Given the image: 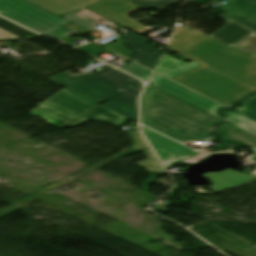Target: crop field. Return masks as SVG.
<instances>
[{"mask_svg": "<svg viewBox=\"0 0 256 256\" xmlns=\"http://www.w3.org/2000/svg\"><path fill=\"white\" fill-rule=\"evenodd\" d=\"M203 66L172 80L225 106L256 91V59L213 38L180 54Z\"/></svg>", "mask_w": 256, "mask_h": 256, "instance_id": "crop-field-1", "label": "crop field"}, {"mask_svg": "<svg viewBox=\"0 0 256 256\" xmlns=\"http://www.w3.org/2000/svg\"><path fill=\"white\" fill-rule=\"evenodd\" d=\"M142 123L178 141L210 139L220 119L148 85L141 98Z\"/></svg>", "mask_w": 256, "mask_h": 256, "instance_id": "crop-field-2", "label": "crop field"}, {"mask_svg": "<svg viewBox=\"0 0 256 256\" xmlns=\"http://www.w3.org/2000/svg\"><path fill=\"white\" fill-rule=\"evenodd\" d=\"M102 67L109 71L100 76L66 71L48 79L100 104L126 92L122 87L135 80L108 65Z\"/></svg>", "mask_w": 256, "mask_h": 256, "instance_id": "crop-field-3", "label": "crop field"}, {"mask_svg": "<svg viewBox=\"0 0 256 256\" xmlns=\"http://www.w3.org/2000/svg\"><path fill=\"white\" fill-rule=\"evenodd\" d=\"M0 15L58 40L74 35L59 27L69 21L25 0H0Z\"/></svg>", "mask_w": 256, "mask_h": 256, "instance_id": "crop-field-4", "label": "crop field"}, {"mask_svg": "<svg viewBox=\"0 0 256 256\" xmlns=\"http://www.w3.org/2000/svg\"><path fill=\"white\" fill-rule=\"evenodd\" d=\"M87 8L139 34L151 31L149 28L129 17L128 14L140 9L133 2L127 0H103Z\"/></svg>", "mask_w": 256, "mask_h": 256, "instance_id": "crop-field-5", "label": "crop field"}, {"mask_svg": "<svg viewBox=\"0 0 256 256\" xmlns=\"http://www.w3.org/2000/svg\"><path fill=\"white\" fill-rule=\"evenodd\" d=\"M149 84L179 99H182L218 118L220 117L217 115V110L223 106L199 94H196L156 73L154 74Z\"/></svg>", "mask_w": 256, "mask_h": 256, "instance_id": "crop-field-6", "label": "crop field"}, {"mask_svg": "<svg viewBox=\"0 0 256 256\" xmlns=\"http://www.w3.org/2000/svg\"><path fill=\"white\" fill-rule=\"evenodd\" d=\"M146 137L149 139L165 166L175 162L187 160L193 156L198 155L194 150H191L163 135H160L147 128H143Z\"/></svg>", "mask_w": 256, "mask_h": 256, "instance_id": "crop-field-7", "label": "crop field"}, {"mask_svg": "<svg viewBox=\"0 0 256 256\" xmlns=\"http://www.w3.org/2000/svg\"><path fill=\"white\" fill-rule=\"evenodd\" d=\"M87 101L88 103H84ZM57 110H60L74 118L99 105L79 94L63 89L43 102Z\"/></svg>", "mask_w": 256, "mask_h": 256, "instance_id": "crop-field-8", "label": "crop field"}, {"mask_svg": "<svg viewBox=\"0 0 256 256\" xmlns=\"http://www.w3.org/2000/svg\"><path fill=\"white\" fill-rule=\"evenodd\" d=\"M124 37L129 48L136 52L132 61L154 70L163 54L148 45L149 40L143 38L141 35L130 33Z\"/></svg>", "mask_w": 256, "mask_h": 256, "instance_id": "crop-field-9", "label": "crop field"}, {"mask_svg": "<svg viewBox=\"0 0 256 256\" xmlns=\"http://www.w3.org/2000/svg\"><path fill=\"white\" fill-rule=\"evenodd\" d=\"M225 4L223 15L256 31V0H220Z\"/></svg>", "mask_w": 256, "mask_h": 256, "instance_id": "crop-field-10", "label": "crop field"}, {"mask_svg": "<svg viewBox=\"0 0 256 256\" xmlns=\"http://www.w3.org/2000/svg\"><path fill=\"white\" fill-rule=\"evenodd\" d=\"M130 90L129 93L103 105L135 122L138 121L137 116V96L143 89L142 82H135L127 87Z\"/></svg>", "mask_w": 256, "mask_h": 256, "instance_id": "crop-field-11", "label": "crop field"}, {"mask_svg": "<svg viewBox=\"0 0 256 256\" xmlns=\"http://www.w3.org/2000/svg\"><path fill=\"white\" fill-rule=\"evenodd\" d=\"M204 176L214 182V184L210 187L214 192L227 190L256 180V174L254 173H252L250 177H246L231 169L222 171L220 173L205 174Z\"/></svg>", "mask_w": 256, "mask_h": 256, "instance_id": "crop-field-12", "label": "crop field"}, {"mask_svg": "<svg viewBox=\"0 0 256 256\" xmlns=\"http://www.w3.org/2000/svg\"><path fill=\"white\" fill-rule=\"evenodd\" d=\"M208 38L210 37L194 32L189 28L178 26L176 33L173 35L169 43V48L182 53Z\"/></svg>", "mask_w": 256, "mask_h": 256, "instance_id": "crop-field-13", "label": "crop field"}, {"mask_svg": "<svg viewBox=\"0 0 256 256\" xmlns=\"http://www.w3.org/2000/svg\"><path fill=\"white\" fill-rule=\"evenodd\" d=\"M57 15H64L79 8L94 4L101 0H27Z\"/></svg>", "mask_w": 256, "mask_h": 256, "instance_id": "crop-field-14", "label": "crop field"}, {"mask_svg": "<svg viewBox=\"0 0 256 256\" xmlns=\"http://www.w3.org/2000/svg\"><path fill=\"white\" fill-rule=\"evenodd\" d=\"M251 32L252 31L230 21L210 37L232 46Z\"/></svg>", "mask_w": 256, "mask_h": 256, "instance_id": "crop-field-15", "label": "crop field"}, {"mask_svg": "<svg viewBox=\"0 0 256 256\" xmlns=\"http://www.w3.org/2000/svg\"><path fill=\"white\" fill-rule=\"evenodd\" d=\"M199 66L201 65L193 61L189 64H186L182 61L175 60L169 56H164L162 62L157 67L156 72L163 74L169 78H172L183 73H186L190 70H193Z\"/></svg>", "mask_w": 256, "mask_h": 256, "instance_id": "crop-field-16", "label": "crop field"}, {"mask_svg": "<svg viewBox=\"0 0 256 256\" xmlns=\"http://www.w3.org/2000/svg\"><path fill=\"white\" fill-rule=\"evenodd\" d=\"M39 108L33 110L31 115L43 118L48 124L57 128L69 123L74 118L57 111L43 103L37 104Z\"/></svg>", "mask_w": 256, "mask_h": 256, "instance_id": "crop-field-17", "label": "crop field"}, {"mask_svg": "<svg viewBox=\"0 0 256 256\" xmlns=\"http://www.w3.org/2000/svg\"><path fill=\"white\" fill-rule=\"evenodd\" d=\"M226 140L241 141L244 145L256 150V137L231 125L222 126Z\"/></svg>", "mask_w": 256, "mask_h": 256, "instance_id": "crop-field-18", "label": "crop field"}, {"mask_svg": "<svg viewBox=\"0 0 256 256\" xmlns=\"http://www.w3.org/2000/svg\"><path fill=\"white\" fill-rule=\"evenodd\" d=\"M62 17L89 31L92 24L102 18L86 9Z\"/></svg>", "mask_w": 256, "mask_h": 256, "instance_id": "crop-field-19", "label": "crop field"}, {"mask_svg": "<svg viewBox=\"0 0 256 256\" xmlns=\"http://www.w3.org/2000/svg\"><path fill=\"white\" fill-rule=\"evenodd\" d=\"M97 109V108H96ZM124 117L120 116L104 107H100L97 110L87 114L80 120L84 122H90L92 120L102 121L110 124H116L120 122Z\"/></svg>", "mask_w": 256, "mask_h": 256, "instance_id": "crop-field-20", "label": "crop field"}, {"mask_svg": "<svg viewBox=\"0 0 256 256\" xmlns=\"http://www.w3.org/2000/svg\"><path fill=\"white\" fill-rule=\"evenodd\" d=\"M225 121L251 133L256 135V122L244 117L238 113L230 112L227 113V117Z\"/></svg>", "mask_w": 256, "mask_h": 256, "instance_id": "crop-field-21", "label": "crop field"}, {"mask_svg": "<svg viewBox=\"0 0 256 256\" xmlns=\"http://www.w3.org/2000/svg\"><path fill=\"white\" fill-rule=\"evenodd\" d=\"M0 28L20 37V38H25V39H33V38H36L38 36H41V35H38V34H35V33H31L17 25H14L8 21H5L3 19L0 18Z\"/></svg>", "mask_w": 256, "mask_h": 256, "instance_id": "crop-field-22", "label": "crop field"}, {"mask_svg": "<svg viewBox=\"0 0 256 256\" xmlns=\"http://www.w3.org/2000/svg\"><path fill=\"white\" fill-rule=\"evenodd\" d=\"M233 47L256 58V33H251Z\"/></svg>", "mask_w": 256, "mask_h": 256, "instance_id": "crop-field-23", "label": "crop field"}, {"mask_svg": "<svg viewBox=\"0 0 256 256\" xmlns=\"http://www.w3.org/2000/svg\"><path fill=\"white\" fill-rule=\"evenodd\" d=\"M140 6L143 10L155 8L161 10L181 0H131Z\"/></svg>", "mask_w": 256, "mask_h": 256, "instance_id": "crop-field-24", "label": "crop field"}, {"mask_svg": "<svg viewBox=\"0 0 256 256\" xmlns=\"http://www.w3.org/2000/svg\"><path fill=\"white\" fill-rule=\"evenodd\" d=\"M145 81H147L151 75V71L131 62L128 65H126L125 67L121 68Z\"/></svg>", "mask_w": 256, "mask_h": 256, "instance_id": "crop-field-25", "label": "crop field"}, {"mask_svg": "<svg viewBox=\"0 0 256 256\" xmlns=\"http://www.w3.org/2000/svg\"><path fill=\"white\" fill-rule=\"evenodd\" d=\"M104 46L107 47L108 49L126 57V58H129V59H131V57L133 55L132 51L125 48V43L122 38L116 39L115 43L106 44Z\"/></svg>", "mask_w": 256, "mask_h": 256, "instance_id": "crop-field-26", "label": "crop field"}, {"mask_svg": "<svg viewBox=\"0 0 256 256\" xmlns=\"http://www.w3.org/2000/svg\"><path fill=\"white\" fill-rule=\"evenodd\" d=\"M237 112L256 121V96L246 101Z\"/></svg>", "mask_w": 256, "mask_h": 256, "instance_id": "crop-field-27", "label": "crop field"}, {"mask_svg": "<svg viewBox=\"0 0 256 256\" xmlns=\"http://www.w3.org/2000/svg\"><path fill=\"white\" fill-rule=\"evenodd\" d=\"M210 154H200L194 158H191L185 162H189V163H194V162H197V161H200V160H203L205 159L206 157H208Z\"/></svg>", "mask_w": 256, "mask_h": 256, "instance_id": "crop-field-28", "label": "crop field"}, {"mask_svg": "<svg viewBox=\"0 0 256 256\" xmlns=\"http://www.w3.org/2000/svg\"><path fill=\"white\" fill-rule=\"evenodd\" d=\"M0 37H9V38H13V39H20L16 36L6 32V31L2 30V29H0Z\"/></svg>", "mask_w": 256, "mask_h": 256, "instance_id": "crop-field-29", "label": "crop field"}, {"mask_svg": "<svg viewBox=\"0 0 256 256\" xmlns=\"http://www.w3.org/2000/svg\"><path fill=\"white\" fill-rule=\"evenodd\" d=\"M82 123H84V122H82V121H80V120H77V121H75V122L69 124L68 126L62 128L61 130L65 129V128H67V127H72V128H74V127H76V126H78V125H80V124H82Z\"/></svg>", "mask_w": 256, "mask_h": 256, "instance_id": "crop-field-30", "label": "crop field"}, {"mask_svg": "<svg viewBox=\"0 0 256 256\" xmlns=\"http://www.w3.org/2000/svg\"><path fill=\"white\" fill-rule=\"evenodd\" d=\"M128 121H129V120H127V119L124 118L120 123L116 124V126L120 127V126H122L123 124L127 123Z\"/></svg>", "mask_w": 256, "mask_h": 256, "instance_id": "crop-field-31", "label": "crop field"}]
</instances>
